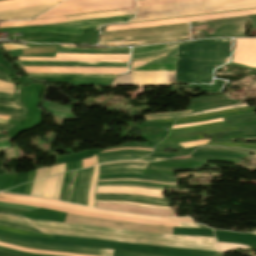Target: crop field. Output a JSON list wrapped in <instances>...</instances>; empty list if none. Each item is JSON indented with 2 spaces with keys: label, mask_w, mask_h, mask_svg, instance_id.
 <instances>
[{
  "label": "crop field",
  "mask_w": 256,
  "mask_h": 256,
  "mask_svg": "<svg viewBox=\"0 0 256 256\" xmlns=\"http://www.w3.org/2000/svg\"><path fill=\"white\" fill-rule=\"evenodd\" d=\"M96 198L138 199V200H145V201L166 203V204H169L170 202V200L168 199H158V198H149V197H142V196H135V195H118V194H96Z\"/></svg>",
  "instance_id": "obj_23"
},
{
  "label": "crop field",
  "mask_w": 256,
  "mask_h": 256,
  "mask_svg": "<svg viewBox=\"0 0 256 256\" xmlns=\"http://www.w3.org/2000/svg\"><path fill=\"white\" fill-rule=\"evenodd\" d=\"M76 171L72 172L65 201L69 202Z\"/></svg>",
  "instance_id": "obj_39"
},
{
  "label": "crop field",
  "mask_w": 256,
  "mask_h": 256,
  "mask_svg": "<svg viewBox=\"0 0 256 256\" xmlns=\"http://www.w3.org/2000/svg\"><path fill=\"white\" fill-rule=\"evenodd\" d=\"M136 7L135 0H69L37 18L98 12ZM36 19V18H35Z\"/></svg>",
  "instance_id": "obj_7"
},
{
  "label": "crop field",
  "mask_w": 256,
  "mask_h": 256,
  "mask_svg": "<svg viewBox=\"0 0 256 256\" xmlns=\"http://www.w3.org/2000/svg\"><path fill=\"white\" fill-rule=\"evenodd\" d=\"M232 141L256 140V139H231Z\"/></svg>",
  "instance_id": "obj_65"
},
{
  "label": "crop field",
  "mask_w": 256,
  "mask_h": 256,
  "mask_svg": "<svg viewBox=\"0 0 256 256\" xmlns=\"http://www.w3.org/2000/svg\"><path fill=\"white\" fill-rule=\"evenodd\" d=\"M95 208L128 212V213H136V214H140V215L173 217L172 210L150 209V208L133 206V205H129V204L96 203Z\"/></svg>",
  "instance_id": "obj_16"
},
{
  "label": "crop field",
  "mask_w": 256,
  "mask_h": 256,
  "mask_svg": "<svg viewBox=\"0 0 256 256\" xmlns=\"http://www.w3.org/2000/svg\"><path fill=\"white\" fill-rule=\"evenodd\" d=\"M244 20L249 16L190 23L191 31L204 30L210 38L243 37Z\"/></svg>",
  "instance_id": "obj_10"
},
{
  "label": "crop field",
  "mask_w": 256,
  "mask_h": 256,
  "mask_svg": "<svg viewBox=\"0 0 256 256\" xmlns=\"http://www.w3.org/2000/svg\"><path fill=\"white\" fill-rule=\"evenodd\" d=\"M120 149H140V150H150V151L153 150V149H143V148H118V149L106 150V151H104V152L115 151V150H120ZM101 153H102V152H101Z\"/></svg>",
  "instance_id": "obj_60"
},
{
  "label": "crop field",
  "mask_w": 256,
  "mask_h": 256,
  "mask_svg": "<svg viewBox=\"0 0 256 256\" xmlns=\"http://www.w3.org/2000/svg\"><path fill=\"white\" fill-rule=\"evenodd\" d=\"M217 244H218V251L220 252H225L227 250H232L237 248H244V249L251 248L247 245H241V244H229V243H220V242H217Z\"/></svg>",
  "instance_id": "obj_31"
},
{
  "label": "crop field",
  "mask_w": 256,
  "mask_h": 256,
  "mask_svg": "<svg viewBox=\"0 0 256 256\" xmlns=\"http://www.w3.org/2000/svg\"><path fill=\"white\" fill-rule=\"evenodd\" d=\"M1 139V138H0Z\"/></svg>",
  "instance_id": "obj_72"
},
{
  "label": "crop field",
  "mask_w": 256,
  "mask_h": 256,
  "mask_svg": "<svg viewBox=\"0 0 256 256\" xmlns=\"http://www.w3.org/2000/svg\"><path fill=\"white\" fill-rule=\"evenodd\" d=\"M56 47H40V48H30L20 50L22 54H36V53H50L55 52Z\"/></svg>",
  "instance_id": "obj_30"
},
{
  "label": "crop field",
  "mask_w": 256,
  "mask_h": 256,
  "mask_svg": "<svg viewBox=\"0 0 256 256\" xmlns=\"http://www.w3.org/2000/svg\"><path fill=\"white\" fill-rule=\"evenodd\" d=\"M97 173H98V165L94 166V174H93V178H92L89 193H88V206L90 207H93V204H94V190L96 185Z\"/></svg>",
  "instance_id": "obj_28"
},
{
  "label": "crop field",
  "mask_w": 256,
  "mask_h": 256,
  "mask_svg": "<svg viewBox=\"0 0 256 256\" xmlns=\"http://www.w3.org/2000/svg\"><path fill=\"white\" fill-rule=\"evenodd\" d=\"M0 105H7V106L20 108L14 102H7V101H1V100H0Z\"/></svg>",
  "instance_id": "obj_56"
},
{
  "label": "crop field",
  "mask_w": 256,
  "mask_h": 256,
  "mask_svg": "<svg viewBox=\"0 0 256 256\" xmlns=\"http://www.w3.org/2000/svg\"><path fill=\"white\" fill-rule=\"evenodd\" d=\"M186 1H195V0H141V1H137V3H138V7H142V6L169 4V3L186 2Z\"/></svg>",
  "instance_id": "obj_27"
},
{
  "label": "crop field",
  "mask_w": 256,
  "mask_h": 256,
  "mask_svg": "<svg viewBox=\"0 0 256 256\" xmlns=\"http://www.w3.org/2000/svg\"><path fill=\"white\" fill-rule=\"evenodd\" d=\"M28 75L41 76V77L73 76V79L102 81V82H109L112 78L117 76V75H72V74H28Z\"/></svg>",
  "instance_id": "obj_20"
},
{
  "label": "crop field",
  "mask_w": 256,
  "mask_h": 256,
  "mask_svg": "<svg viewBox=\"0 0 256 256\" xmlns=\"http://www.w3.org/2000/svg\"><path fill=\"white\" fill-rule=\"evenodd\" d=\"M117 165H142V166H146L147 164H142V163L110 164V165H103V166H100V168H103V167H110V166H117Z\"/></svg>",
  "instance_id": "obj_52"
},
{
  "label": "crop field",
  "mask_w": 256,
  "mask_h": 256,
  "mask_svg": "<svg viewBox=\"0 0 256 256\" xmlns=\"http://www.w3.org/2000/svg\"><path fill=\"white\" fill-rule=\"evenodd\" d=\"M244 106H247V105L246 104H241V105H236V106H231V107H226V108L213 109V110H208V111L195 113V114H192V115L207 114V113H212V112H216V111L227 110V109H232V108H237V107H244ZM189 116H191V115H189Z\"/></svg>",
  "instance_id": "obj_38"
},
{
  "label": "crop field",
  "mask_w": 256,
  "mask_h": 256,
  "mask_svg": "<svg viewBox=\"0 0 256 256\" xmlns=\"http://www.w3.org/2000/svg\"><path fill=\"white\" fill-rule=\"evenodd\" d=\"M0 256H18V255H13V254H9V253L0 251Z\"/></svg>",
  "instance_id": "obj_62"
},
{
  "label": "crop field",
  "mask_w": 256,
  "mask_h": 256,
  "mask_svg": "<svg viewBox=\"0 0 256 256\" xmlns=\"http://www.w3.org/2000/svg\"><path fill=\"white\" fill-rule=\"evenodd\" d=\"M125 154L143 155V156L148 155V154H142V153H120V154H114V155L100 156L97 158L100 159V158L111 157V156H116V155H125Z\"/></svg>",
  "instance_id": "obj_54"
},
{
  "label": "crop field",
  "mask_w": 256,
  "mask_h": 256,
  "mask_svg": "<svg viewBox=\"0 0 256 256\" xmlns=\"http://www.w3.org/2000/svg\"><path fill=\"white\" fill-rule=\"evenodd\" d=\"M0 201L6 202V203L25 204V205H30V206L42 207V208H46V209H52V210L60 211V212H67V213H72V214L94 216V217L114 219V220L127 221V222H136V223L150 224V225H163V226H179V227H184V224H179V223H167V222H157V221H147V220H139V219H131V218H121V217L97 215V214H90V213L74 211V210H69V209H64V208H58V207H53V206H47V205L18 202V201H13V200L4 199V198H0ZM185 227H199V226L195 225V224H185Z\"/></svg>",
  "instance_id": "obj_14"
},
{
  "label": "crop field",
  "mask_w": 256,
  "mask_h": 256,
  "mask_svg": "<svg viewBox=\"0 0 256 256\" xmlns=\"http://www.w3.org/2000/svg\"><path fill=\"white\" fill-rule=\"evenodd\" d=\"M31 226L44 233H49V234L79 236V237L103 239V240H109V241H123V242L134 243V244H151V245H162V246L217 251L215 242L144 238V237H137V236H127V235H119V234H112V233H105V232L70 229V228H62V227H51V226L34 225V224H31Z\"/></svg>",
  "instance_id": "obj_6"
},
{
  "label": "crop field",
  "mask_w": 256,
  "mask_h": 256,
  "mask_svg": "<svg viewBox=\"0 0 256 256\" xmlns=\"http://www.w3.org/2000/svg\"><path fill=\"white\" fill-rule=\"evenodd\" d=\"M96 202H110V201H96ZM112 203H129V202H112ZM129 204H134V205H139V206H144V207H150V208L170 209L169 207H164V206H150V205H146V204H137V203H129Z\"/></svg>",
  "instance_id": "obj_48"
},
{
  "label": "crop field",
  "mask_w": 256,
  "mask_h": 256,
  "mask_svg": "<svg viewBox=\"0 0 256 256\" xmlns=\"http://www.w3.org/2000/svg\"><path fill=\"white\" fill-rule=\"evenodd\" d=\"M140 157L142 156H119L114 158L101 159V160H98V163L115 161V160H123V159H138Z\"/></svg>",
  "instance_id": "obj_35"
},
{
  "label": "crop field",
  "mask_w": 256,
  "mask_h": 256,
  "mask_svg": "<svg viewBox=\"0 0 256 256\" xmlns=\"http://www.w3.org/2000/svg\"><path fill=\"white\" fill-rule=\"evenodd\" d=\"M0 112L24 115V111L12 107L0 106Z\"/></svg>",
  "instance_id": "obj_34"
},
{
  "label": "crop field",
  "mask_w": 256,
  "mask_h": 256,
  "mask_svg": "<svg viewBox=\"0 0 256 256\" xmlns=\"http://www.w3.org/2000/svg\"><path fill=\"white\" fill-rule=\"evenodd\" d=\"M131 14H135V9L114 11V12H105V13H96V14H87V15H79V16H70V17H66V18H67L68 22H72V21L106 18V17H114V16H123V15H131ZM66 18L62 17V18L26 21V22H0V28L1 27L25 26V25H44V24L63 23V22H67Z\"/></svg>",
  "instance_id": "obj_12"
},
{
  "label": "crop field",
  "mask_w": 256,
  "mask_h": 256,
  "mask_svg": "<svg viewBox=\"0 0 256 256\" xmlns=\"http://www.w3.org/2000/svg\"><path fill=\"white\" fill-rule=\"evenodd\" d=\"M203 148H213V149H227V150H236V151H242V152H248L256 154V151H250V150H241V149H235V148H224V147H203Z\"/></svg>",
  "instance_id": "obj_51"
},
{
  "label": "crop field",
  "mask_w": 256,
  "mask_h": 256,
  "mask_svg": "<svg viewBox=\"0 0 256 256\" xmlns=\"http://www.w3.org/2000/svg\"><path fill=\"white\" fill-rule=\"evenodd\" d=\"M0 99H2V100H11V101H13V99H9V98H1V97H0Z\"/></svg>",
  "instance_id": "obj_69"
},
{
  "label": "crop field",
  "mask_w": 256,
  "mask_h": 256,
  "mask_svg": "<svg viewBox=\"0 0 256 256\" xmlns=\"http://www.w3.org/2000/svg\"><path fill=\"white\" fill-rule=\"evenodd\" d=\"M93 174V167L83 169L81 174V180L77 192V204H83L87 206V193L91 181V177Z\"/></svg>",
  "instance_id": "obj_19"
},
{
  "label": "crop field",
  "mask_w": 256,
  "mask_h": 256,
  "mask_svg": "<svg viewBox=\"0 0 256 256\" xmlns=\"http://www.w3.org/2000/svg\"><path fill=\"white\" fill-rule=\"evenodd\" d=\"M96 193L135 194V195L150 196V197H158V198H162V197H163V196H156V195L143 194V193H127V192H96Z\"/></svg>",
  "instance_id": "obj_50"
},
{
  "label": "crop field",
  "mask_w": 256,
  "mask_h": 256,
  "mask_svg": "<svg viewBox=\"0 0 256 256\" xmlns=\"http://www.w3.org/2000/svg\"><path fill=\"white\" fill-rule=\"evenodd\" d=\"M192 110L189 111H180V112H173V113H162V114H149L143 115L146 121L150 120H158V119H166V118H179L183 115L190 113Z\"/></svg>",
  "instance_id": "obj_25"
},
{
  "label": "crop field",
  "mask_w": 256,
  "mask_h": 256,
  "mask_svg": "<svg viewBox=\"0 0 256 256\" xmlns=\"http://www.w3.org/2000/svg\"><path fill=\"white\" fill-rule=\"evenodd\" d=\"M56 53H113L129 54V49L95 50V49H57ZM129 55H93V54H56V57H92V58H128Z\"/></svg>",
  "instance_id": "obj_17"
},
{
  "label": "crop field",
  "mask_w": 256,
  "mask_h": 256,
  "mask_svg": "<svg viewBox=\"0 0 256 256\" xmlns=\"http://www.w3.org/2000/svg\"><path fill=\"white\" fill-rule=\"evenodd\" d=\"M209 140H199V141H194V142H189V143H184L180 144L184 148L188 147H194V146H199V145H204L208 142Z\"/></svg>",
  "instance_id": "obj_40"
},
{
  "label": "crop field",
  "mask_w": 256,
  "mask_h": 256,
  "mask_svg": "<svg viewBox=\"0 0 256 256\" xmlns=\"http://www.w3.org/2000/svg\"><path fill=\"white\" fill-rule=\"evenodd\" d=\"M45 180L34 182L30 195L42 196Z\"/></svg>",
  "instance_id": "obj_32"
},
{
  "label": "crop field",
  "mask_w": 256,
  "mask_h": 256,
  "mask_svg": "<svg viewBox=\"0 0 256 256\" xmlns=\"http://www.w3.org/2000/svg\"><path fill=\"white\" fill-rule=\"evenodd\" d=\"M0 225H4V226H8V227H12V228H16V229H21V230H27V231H33V232H39L35 229L32 228H27V227H22V226H18V225H14V224H10V223H6V222H0ZM41 233V232H39Z\"/></svg>",
  "instance_id": "obj_41"
},
{
  "label": "crop field",
  "mask_w": 256,
  "mask_h": 256,
  "mask_svg": "<svg viewBox=\"0 0 256 256\" xmlns=\"http://www.w3.org/2000/svg\"><path fill=\"white\" fill-rule=\"evenodd\" d=\"M47 172H48V168H40L36 170V177L34 180L46 178Z\"/></svg>",
  "instance_id": "obj_44"
},
{
  "label": "crop field",
  "mask_w": 256,
  "mask_h": 256,
  "mask_svg": "<svg viewBox=\"0 0 256 256\" xmlns=\"http://www.w3.org/2000/svg\"><path fill=\"white\" fill-rule=\"evenodd\" d=\"M27 73L121 74L127 68L23 67Z\"/></svg>",
  "instance_id": "obj_13"
},
{
  "label": "crop field",
  "mask_w": 256,
  "mask_h": 256,
  "mask_svg": "<svg viewBox=\"0 0 256 256\" xmlns=\"http://www.w3.org/2000/svg\"><path fill=\"white\" fill-rule=\"evenodd\" d=\"M138 160L159 161V160H163V159L144 157V158H141V159H138Z\"/></svg>",
  "instance_id": "obj_61"
},
{
  "label": "crop field",
  "mask_w": 256,
  "mask_h": 256,
  "mask_svg": "<svg viewBox=\"0 0 256 256\" xmlns=\"http://www.w3.org/2000/svg\"><path fill=\"white\" fill-rule=\"evenodd\" d=\"M93 159H94V165H96V164H97V158H96V155H95V156H93Z\"/></svg>",
  "instance_id": "obj_66"
},
{
  "label": "crop field",
  "mask_w": 256,
  "mask_h": 256,
  "mask_svg": "<svg viewBox=\"0 0 256 256\" xmlns=\"http://www.w3.org/2000/svg\"><path fill=\"white\" fill-rule=\"evenodd\" d=\"M24 65L127 67L128 63L21 61Z\"/></svg>",
  "instance_id": "obj_18"
},
{
  "label": "crop field",
  "mask_w": 256,
  "mask_h": 256,
  "mask_svg": "<svg viewBox=\"0 0 256 256\" xmlns=\"http://www.w3.org/2000/svg\"><path fill=\"white\" fill-rule=\"evenodd\" d=\"M9 127L7 126H0V129H8Z\"/></svg>",
  "instance_id": "obj_68"
},
{
  "label": "crop field",
  "mask_w": 256,
  "mask_h": 256,
  "mask_svg": "<svg viewBox=\"0 0 256 256\" xmlns=\"http://www.w3.org/2000/svg\"><path fill=\"white\" fill-rule=\"evenodd\" d=\"M28 221L29 223H36V224L64 226V227L80 228V229H91V230H99V231L128 234V235H137V236L164 237V238H172V239H186V240H200V241H215V238L161 235V234H172L173 228H169V227L142 225V224L127 223V222L113 221V220L100 219V218H88V217L71 215V214H67L65 223H79V224L120 228V229L136 230V231L151 232V233H161V234H151V233L135 232V231H128V230H120V229L86 226V225H79V224H62V223H56V222L36 221V220H29V219ZM113 224H123L125 226H119V225H113Z\"/></svg>",
  "instance_id": "obj_5"
},
{
  "label": "crop field",
  "mask_w": 256,
  "mask_h": 256,
  "mask_svg": "<svg viewBox=\"0 0 256 256\" xmlns=\"http://www.w3.org/2000/svg\"><path fill=\"white\" fill-rule=\"evenodd\" d=\"M178 43L134 48L131 71H175ZM175 72H131L118 76L111 86H149L174 83ZM110 86V87H111Z\"/></svg>",
  "instance_id": "obj_3"
},
{
  "label": "crop field",
  "mask_w": 256,
  "mask_h": 256,
  "mask_svg": "<svg viewBox=\"0 0 256 256\" xmlns=\"http://www.w3.org/2000/svg\"><path fill=\"white\" fill-rule=\"evenodd\" d=\"M96 191H127V192H143L156 195H163L162 190L138 188V187H97Z\"/></svg>",
  "instance_id": "obj_22"
},
{
  "label": "crop field",
  "mask_w": 256,
  "mask_h": 256,
  "mask_svg": "<svg viewBox=\"0 0 256 256\" xmlns=\"http://www.w3.org/2000/svg\"><path fill=\"white\" fill-rule=\"evenodd\" d=\"M118 180L143 181V182L161 183V184H169V185H176L177 184V183H163V182L145 181V180H140V179H109V180H99L98 182L118 181Z\"/></svg>",
  "instance_id": "obj_42"
},
{
  "label": "crop field",
  "mask_w": 256,
  "mask_h": 256,
  "mask_svg": "<svg viewBox=\"0 0 256 256\" xmlns=\"http://www.w3.org/2000/svg\"><path fill=\"white\" fill-rule=\"evenodd\" d=\"M0 217H5V218H10V219H15V220H19V221L27 222L26 220H24V219H22V218L13 217V216L4 215V214H0Z\"/></svg>",
  "instance_id": "obj_57"
},
{
  "label": "crop field",
  "mask_w": 256,
  "mask_h": 256,
  "mask_svg": "<svg viewBox=\"0 0 256 256\" xmlns=\"http://www.w3.org/2000/svg\"><path fill=\"white\" fill-rule=\"evenodd\" d=\"M121 162H142V161H121ZM112 163H118V162H112ZM142 163H148V162H142ZM104 164H109V163H104Z\"/></svg>",
  "instance_id": "obj_64"
},
{
  "label": "crop field",
  "mask_w": 256,
  "mask_h": 256,
  "mask_svg": "<svg viewBox=\"0 0 256 256\" xmlns=\"http://www.w3.org/2000/svg\"><path fill=\"white\" fill-rule=\"evenodd\" d=\"M0 91L14 93V85L0 81Z\"/></svg>",
  "instance_id": "obj_36"
},
{
  "label": "crop field",
  "mask_w": 256,
  "mask_h": 256,
  "mask_svg": "<svg viewBox=\"0 0 256 256\" xmlns=\"http://www.w3.org/2000/svg\"><path fill=\"white\" fill-rule=\"evenodd\" d=\"M0 197L10 198L13 200L24 201V202H35V203L59 206V207L75 209V210H80V211H85V212H90V213H97V214L140 218V219L157 220V221L193 223V221L190 220L189 218H158V217H144V216L128 215V214H122V213H117V212H107V211H103V210H97V209H92V208H88V207L77 206V205H73V204L62 203V202H58V201H54V200L36 198V197L10 195V194H2V193H0Z\"/></svg>",
  "instance_id": "obj_11"
},
{
  "label": "crop field",
  "mask_w": 256,
  "mask_h": 256,
  "mask_svg": "<svg viewBox=\"0 0 256 256\" xmlns=\"http://www.w3.org/2000/svg\"><path fill=\"white\" fill-rule=\"evenodd\" d=\"M0 220L2 221H7V222H11V223H15V224H18V225H23V226H29V224H26V223H22V222H18V221H14V220H10V219H4V218H0Z\"/></svg>",
  "instance_id": "obj_55"
},
{
  "label": "crop field",
  "mask_w": 256,
  "mask_h": 256,
  "mask_svg": "<svg viewBox=\"0 0 256 256\" xmlns=\"http://www.w3.org/2000/svg\"><path fill=\"white\" fill-rule=\"evenodd\" d=\"M0 241L1 242H5V243H9V244H12V245H16V246L27 247V248H35V249L67 252V253H76V254H87V255H98V256H112L110 254H104V253L84 252V251H74V250H63V249H51V248H41L42 246L41 247H33L34 245L33 246H28V245H24V244H21V243L5 240V239H1V238H0Z\"/></svg>",
  "instance_id": "obj_24"
},
{
  "label": "crop field",
  "mask_w": 256,
  "mask_h": 256,
  "mask_svg": "<svg viewBox=\"0 0 256 256\" xmlns=\"http://www.w3.org/2000/svg\"><path fill=\"white\" fill-rule=\"evenodd\" d=\"M0 1H5V0H0ZM60 1H64V0H12V1H5V2H0V11L35 6V5L55 3V2H60ZM57 4H59V3L29 7V8H22V9H15V10H8V11H1L0 12V20L30 19L42 12L54 7Z\"/></svg>",
  "instance_id": "obj_9"
},
{
  "label": "crop field",
  "mask_w": 256,
  "mask_h": 256,
  "mask_svg": "<svg viewBox=\"0 0 256 256\" xmlns=\"http://www.w3.org/2000/svg\"><path fill=\"white\" fill-rule=\"evenodd\" d=\"M133 17L134 15L64 23V24L47 25V26H35V27L25 26V27H16V28H4V29H0V32H10V33L57 32V33L81 35L82 28L99 27L100 25H104L107 23H122L130 20Z\"/></svg>",
  "instance_id": "obj_8"
},
{
  "label": "crop field",
  "mask_w": 256,
  "mask_h": 256,
  "mask_svg": "<svg viewBox=\"0 0 256 256\" xmlns=\"http://www.w3.org/2000/svg\"><path fill=\"white\" fill-rule=\"evenodd\" d=\"M223 121V119H218V120H212V121H208V122H202V123H194V124H186V125H179V126H173L172 129L174 128H181V127H188V126H194V125H199V124H204V123H212V122H220Z\"/></svg>",
  "instance_id": "obj_49"
},
{
  "label": "crop field",
  "mask_w": 256,
  "mask_h": 256,
  "mask_svg": "<svg viewBox=\"0 0 256 256\" xmlns=\"http://www.w3.org/2000/svg\"><path fill=\"white\" fill-rule=\"evenodd\" d=\"M83 168L93 166L92 157L86 160H82Z\"/></svg>",
  "instance_id": "obj_53"
},
{
  "label": "crop field",
  "mask_w": 256,
  "mask_h": 256,
  "mask_svg": "<svg viewBox=\"0 0 256 256\" xmlns=\"http://www.w3.org/2000/svg\"><path fill=\"white\" fill-rule=\"evenodd\" d=\"M252 234H256V232H255V233H252Z\"/></svg>",
  "instance_id": "obj_71"
},
{
  "label": "crop field",
  "mask_w": 256,
  "mask_h": 256,
  "mask_svg": "<svg viewBox=\"0 0 256 256\" xmlns=\"http://www.w3.org/2000/svg\"><path fill=\"white\" fill-rule=\"evenodd\" d=\"M97 186H139V187L155 188V189H162V190L166 189L161 187H149V186H141L136 184H107V185H97Z\"/></svg>",
  "instance_id": "obj_47"
},
{
  "label": "crop field",
  "mask_w": 256,
  "mask_h": 256,
  "mask_svg": "<svg viewBox=\"0 0 256 256\" xmlns=\"http://www.w3.org/2000/svg\"><path fill=\"white\" fill-rule=\"evenodd\" d=\"M0 79L12 83V81L8 79V75L2 72H0Z\"/></svg>",
  "instance_id": "obj_58"
},
{
  "label": "crop field",
  "mask_w": 256,
  "mask_h": 256,
  "mask_svg": "<svg viewBox=\"0 0 256 256\" xmlns=\"http://www.w3.org/2000/svg\"><path fill=\"white\" fill-rule=\"evenodd\" d=\"M0 122L6 123V122H7V119H0Z\"/></svg>",
  "instance_id": "obj_67"
},
{
  "label": "crop field",
  "mask_w": 256,
  "mask_h": 256,
  "mask_svg": "<svg viewBox=\"0 0 256 256\" xmlns=\"http://www.w3.org/2000/svg\"><path fill=\"white\" fill-rule=\"evenodd\" d=\"M0 246L19 250V251H25V252H31V253H42V254H48V255H57V256H87V255H76V254H67V253H59V252H49V251H39V250H33V249H27V248H20L8 244H4L0 242Z\"/></svg>",
  "instance_id": "obj_26"
},
{
  "label": "crop field",
  "mask_w": 256,
  "mask_h": 256,
  "mask_svg": "<svg viewBox=\"0 0 256 256\" xmlns=\"http://www.w3.org/2000/svg\"><path fill=\"white\" fill-rule=\"evenodd\" d=\"M65 169V164L62 165H58L56 167H51L50 168V173H49V177L58 173L63 172Z\"/></svg>",
  "instance_id": "obj_43"
},
{
  "label": "crop field",
  "mask_w": 256,
  "mask_h": 256,
  "mask_svg": "<svg viewBox=\"0 0 256 256\" xmlns=\"http://www.w3.org/2000/svg\"><path fill=\"white\" fill-rule=\"evenodd\" d=\"M0 206L1 207H10V208L22 209V210H28V211H33V210L37 209L35 207L20 206V205L5 204V203H0Z\"/></svg>",
  "instance_id": "obj_37"
},
{
  "label": "crop field",
  "mask_w": 256,
  "mask_h": 256,
  "mask_svg": "<svg viewBox=\"0 0 256 256\" xmlns=\"http://www.w3.org/2000/svg\"><path fill=\"white\" fill-rule=\"evenodd\" d=\"M0 96L13 98V95H12V94L1 93V92H0Z\"/></svg>",
  "instance_id": "obj_63"
},
{
  "label": "crop field",
  "mask_w": 256,
  "mask_h": 256,
  "mask_svg": "<svg viewBox=\"0 0 256 256\" xmlns=\"http://www.w3.org/2000/svg\"><path fill=\"white\" fill-rule=\"evenodd\" d=\"M142 170L143 169H112L107 171H100V175L116 173H142Z\"/></svg>",
  "instance_id": "obj_33"
},
{
  "label": "crop field",
  "mask_w": 256,
  "mask_h": 256,
  "mask_svg": "<svg viewBox=\"0 0 256 256\" xmlns=\"http://www.w3.org/2000/svg\"><path fill=\"white\" fill-rule=\"evenodd\" d=\"M58 176V175H57ZM57 176L48 178L46 180V184H45V188H44V194L43 196L45 197H53L54 194V190H55V184H56V180H57Z\"/></svg>",
  "instance_id": "obj_29"
},
{
  "label": "crop field",
  "mask_w": 256,
  "mask_h": 256,
  "mask_svg": "<svg viewBox=\"0 0 256 256\" xmlns=\"http://www.w3.org/2000/svg\"><path fill=\"white\" fill-rule=\"evenodd\" d=\"M256 8V0H204L138 8L130 22ZM129 22V23H130Z\"/></svg>",
  "instance_id": "obj_4"
},
{
  "label": "crop field",
  "mask_w": 256,
  "mask_h": 256,
  "mask_svg": "<svg viewBox=\"0 0 256 256\" xmlns=\"http://www.w3.org/2000/svg\"><path fill=\"white\" fill-rule=\"evenodd\" d=\"M63 174H60L59 177H58V182H57V187H56V191H55V195H54V199H57L59 198V193H60V189H61V184H62V180H63Z\"/></svg>",
  "instance_id": "obj_45"
},
{
  "label": "crop field",
  "mask_w": 256,
  "mask_h": 256,
  "mask_svg": "<svg viewBox=\"0 0 256 256\" xmlns=\"http://www.w3.org/2000/svg\"><path fill=\"white\" fill-rule=\"evenodd\" d=\"M0 118H8L7 116H0Z\"/></svg>",
  "instance_id": "obj_70"
},
{
  "label": "crop field",
  "mask_w": 256,
  "mask_h": 256,
  "mask_svg": "<svg viewBox=\"0 0 256 256\" xmlns=\"http://www.w3.org/2000/svg\"><path fill=\"white\" fill-rule=\"evenodd\" d=\"M230 40L179 43L175 83L212 84V69L226 63Z\"/></svg>",
  "instance_id": "obj_2"
},
{
  "label": "crop field",
  "mask_w": 256,
  "mask_h": 256,
  "mask_svg": "<svg viewBox=\"0 0 256 256\" xmlns=\"http://www.w3.org/2000/svg\"><path fill=\"white\" fill-rule=\"evenodd\" d=\"M125 167L146 168V167H141V166H117V167L103 168L100 170H107V169H112V168H125Z\"/></svg>",
  "instance_id": "obj_59"
},
{
  "label": "crop field",
  "mask_w": 256,
  "mask_h": 256,
  "mask_svg": "<svg viewBox=\"0 0 256 256\" xmlns=\"http://www.w3.org/2000/svg\"><path fill=\"white\" fill-rule=\"evenodd\" d=\"M254 14H256V10L232 12V13H224V14H216V15H208V16H200V17H191V18L132 23V24H125V25H113V26H106L104 32L158 26V25L176 24V23H184V22H193V21H201V20L219 19V18H227V17L254 15ZM189 37H190L189 25L188 23H184V24H176V25H167V26H158V27L102 33L100 37V43L136 40L141 42L142 44H149V43H158V42H166V41L185 40V39H189Z\"/></svg>",
  "instance_id": "obj_1"
},
{
  "label": "crop field",
  "mask_w": 256,
  "mask_h": 256,
  "mask_svg": "<svg viewBox=\"0 0 256 256\" xmlns=\"http://www.w3.org/2000/svg\"><path fill=\"white\" fill-rule=\"evenodd\" d=\"M2 46L6 51L21 49V48H28V47H25L22 45H16V44H3Z\"/></svg>",
  "instance_id": "obj_46"
},
{
  "label": "crop field",
  "mask_w": 256,
  "mask_h": 256,
  "mask_svg": "<svg viewBox=\"0 0 256 256\" xmlns=\"http://www.w3.org/2000/svg\"><path fill=\"white\" fill-rule=\"evenodd\" d=\"M0 237L10 239V240H13V241H17V242H21V243L42 245V246L64 247V248H73V249H79V250H85V251H98V252H110V253H113V251H114V250H110V249L85 248V247H76V246H68V245H61V244L32 242V241L12 238V237H8V236H4V235H0Z\"/></svg>",
  "instance_id": "obj_21"
},
{
  "label": "crop field",
  "mask_w": 256,
  "mask_h": 256,
  "mask_svg": "<svg viewBox=\"0 0 256 256\" xmlns=\"http://www.w3.org/2000/svg\"><path fill=\"white\" fill-rule=\"evenodd\" d=\"M233 62L256 66V39H235Z\"/></svg>",
  "instance_id": "obj_15"
}]
</instances>
